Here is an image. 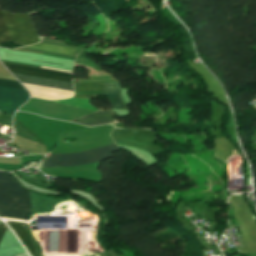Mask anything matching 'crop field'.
Here are the masks:
<instances>
[{"label": "crop field", "mask_w": 256, "mask_h": 256, "mask_svg": "<svg viewBox=\"0 0 256 256\" xmlns=\"http://www.w3.org/2000/svg\"><path fill=\"white\" fill-rule=\"evenodd\" d=\"M12 74L15 75L19 79V81L23 83H29V84H35L40 86L73 91L72 84L70 83H64V82L36 78V77L25 76V75L14 74V73Z\"/></svg>", "instance_id": "crop-field-7"}, {"label": "crop field", "mask_w": 256, "mask_h": 256, "mask_svg": "<svg viewBox=\"0 0 256 256\" xmlns=\"http://www.w3.org/2000/svg\"><path fill=\"white\" fill-rule=\"evenodd\" d=\"M41 68H47V67H42V66H40ZM47 69H52V70H58V69H53V68H47ZM58 71H63V70H58ZM63 72H69V71H63ZM69 73H71V72H69Z\"/></svg>", "instance_id": "crop-field-11"}, {"label": "crop field", "mask_w": 256, "mask_h": 256, "mask_svg": "<svg viewBox=\"0 0 256 256\" xmlns=\"http://www.w3.org/2000/svg\"><path fill=\"white\" fill-rule=\"evenodd\" d=\"M103 91L107 99L109 100L112 108H121L127 109L124 105L121 96H120V86L118 82L102 83ZM102 85L101 83L93 84H74L75 87V96L77 98H86L91 99L99 94H102ZM116 121L113 116L112 109L102 112H97L76 120L80 124L87 126H93L100 123H111Z\"/></svg>", "instance_id": "crop-field-1"}, {"label": "crop field", "mask_w": 256, "mask_h": 256, "mask_svg": "<svg viewBox=\"0 0 256 256\" xmlns=\"http://www.w3.org/2000/svg\"><path fill=\"white\" fill-rule=\"evenodd\" d=\"M0 87L23 89V86L17 81L0 79ZM0 88V112L5 111L12 117L14 111L26 102L29 95L23 90Z\"/></svg>", "instance_id": "crop-field-5"}, {"label": "crop field", "mask_w": 256, "mask_h": 256, "mask_svg": "<svg viewBox=\"0 0 256 256\" xmlns=\"http://www.w3.org/2000/svg\"><path fill=\"white\" fill-rule=\"evenodd\" d=\"M39 40L29 14L11 15L10 12H0V43L13 41L30 45Z\"/></svg>", "instance_id": "crop-field-3"}, {"label": "crop field", "mask_w": 256, "mask_h": 256, "mask_svg": "<svg viewBox=\"0 0 256 256\" xmlns=\"http://www.w3.org/2000/svg\"><path fill=\"white\" fill-rule=\"evenodd\" d=\"M30 211L29 191L0 171V216L24 219Z\"/></svg>", "instance_id": "crop-field-2"}, {"label": "crop field", "mask_w": 256, "mask_h": 256, "mask_svg": "<svg viewBox=\"0 0 256 256\" xmlns=\"http://www.w3.org/2000/svg\"><path fill=\"white\" fill-rule=\"evenodd\" d=\"M27 48H33V49H39V50H45V51H51V52L69 54V55H72L74 52L77 51L75 49L61 48V47H55V46H49V45H43V44L28 46Z\"/></svg>", "instance_id": "crop-field-9"}, {"label": "crop field", "mask_w": 256, "mask_h": 256, "mask_svg": "<svg viewBox=\"0 0 256 256\" xmlns=\"http://www.w3.org/2000/svg\"><path fill=\"white\" fill-rule=\"evenodd\" d=\"M115 150L119 148L115 145H108L79 153L50 154L42 167H67L99 162L112 157L111 152Z\"/></svg>", "instance_id": "crop-field-4"}, {"label": "crop field", "mask_w": 256, "mask_h": 256, "mask_svg": "<svg viewBox=\"0 0 256 256\" xmlns=\"http://www.w3.org/2000/svg\"><path fill=\"white\" fill-rule=\"evenodd\" d=\"M12 226V228L15 230V232L20 236L21 240L25 243V245L28 247L30 253L33 256H39L35 245L32 240L29 239V235L26 231V228L23 226L22 223H16V222H8Z\"/></svg>", "instance_id": "crop-field-8"}, {"label": "crop field", "mask_w": 256, "mask_h": 256, "mask_svg": "<svg viewBox=\"0 0 256 256\" xmlns=\"http://www.w3.org/2000/svg\"><path fill=\"white\" fill-rule=\"evenodd\" d=\"M3 64L11 72H14V73H20V74H25V75H31V76H36V77H42V78H48V79L72 83L71 74H69V73H63V72H57V71L9 64V63H3Z\"/></svg>", "instance_id": "crop-field-6"}, {"label": "crop field", "mask_w": 256, "mask_h": 256, "mask_svg": "<svg viewBox=\"0 0 256 256\" xmlns=\"http://www.w3.org/2000/svg\"><path fill=\"white\" fill-rule=\"evenodd\" d=\"M7 227L0 221V242L2 240V237L6 231Z\"/></svg>", "instance_id": "crop-field-10"}]
</instances>
